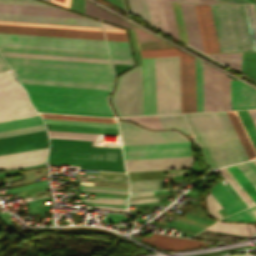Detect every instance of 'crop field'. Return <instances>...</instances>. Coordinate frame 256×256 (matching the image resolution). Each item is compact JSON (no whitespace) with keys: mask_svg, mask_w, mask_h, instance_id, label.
Instances as JSON below:
<instances>
[{"mask_svg":"<svg viewBox=\"0 0 256 256\" xmlns=\"http://www.w3.org/2000/svg\"><path fill=\"white\" fill-rule=\"evenodd\" d=\"M212 53L220 52L209 5H202Z\"/></svg>","mask_w":256,"mask_h":256,"instance_id":"crop-field-27","label":"crop field"},{"mask_svg":"<svg viewBox=\"0 0 256 256\" xmlns=\"http://www.w3.org/2000/svg\"><path fill=\"white\" fill-rule=\"evenodd\" d=\"M221 52L252 51L242 5H210Z\"/></svg>","mask_w":256,"mask_h":256,"instance_id":"crop-field-5","label":"crop field"},{"mask_svg":"<svg viewBox=\"0 0 256 256\" xmlns=\"http://www.w3.org/2000/svg\"><path fill=\"white\" fill-rule=\"evenodd\" d=\"M0 53L2 55H9V56H23V57H37V58H50V59H64V60L111 63L110 60H103V59H89V58H75V57H61V56H47V55H33V54H19V53H5V52H0Z\"/></svg>","mask_w":256,"mask_h":256,"instance_id":"crop-field-34","label":"crop field"},{"mask_svg":"<svg viewBox=\"0 0 256 256\" xmlns=\"http://www.w3.org/2000/svg\"><path fill=\"white\" fill-rule=\"evenodd\" d=\"M94 199H102V198H94ZM103 200H118V199H103ZM119 201H126V200H119Z\"/></svg>","mask_w":256,"mask_h":256,"instance_id":"crop-field-67","label":"crop field"},{"mask_svg":"<svg viewBox=\"0 0 256 256\" xmlns=\"http://www.w3.org/2000/svg\"><path fill=\"white\" fill-rule=\"evenodd\" d=\"M248 214L253 218L254 221H256V205L252 206L250 208L245 209Z\"/></svg>","mask_w":256,"mask_h":256,"instance_id":"crop-field-55","label":"crop field"},{"mask_svg":"<svg viewBox=\"0 0 256 256\" xmlns=\"http://www.w3.org/2000/svg\"><path fill=\"white\" fill-rule=\"evenodd\" d=\"M162 2V6H163V10H164V15H165V19H166V24H167V28H168V32L170 35L174 36L175 38H178V34H177V30H176V25H175V21H174V17H173V12H172V8H171V4L168 1H163Z\"/></svg>","mask_w":256,"mask_h":256,"instance_id":"crop-field-35","label":"crop field"},{"mask_svg":"<svg viewBox=\"0 0 256 256\" xmlns=\"http://www.w3.org/2000/svg\"><path fill=\"white\" fill-rule=\"evenodd\" d=\"M82 201L126 205V202H118V201H101V200H88V199H82Z\"/></svg>","mask_w":256,"mask_h":256,"instance_id":"crop-field-53","label":"crop field"},{"mask_svg":"<svg viewBox=\"0 0 256 256\" xmlns=\"http://www.w3.org/2000/svg\"><path fill=\"white\" fill-rule=\"evenodd\" d=\"M0 46L108 54L104 41L0 33Z\"/></svg>","mask_w":256,"mask_h":256,"instance_id":"crop-field-6","label":"crop field"},{"mask_svg":"<svg viewBox=\"0 0 256 256\" xmlns=\"http://www.w3.org/2000/svg\"><path fill=\"white\" fill-rule=\"evenodd\" d=\"M204 111L230 109L229 77L203 62Z\"/></svg>","mask_w":256,"mask_h":256,"instance_id":"crop-field-9","label":"crop field"},{"mask_svg":"<svg viewBox=\"0 0 256 256\" xmlns=\"http://www.w3.org/2000/svg\"><path fill=\"white\" fill-rule=\"evenodd\" d=\"M48 146L45 130L0 138V154Z\"/></svg>","mask_w":256,"mask_h":256,"instance_id":"crop-field-14","label":"crop field"},{"mask_svg":"<svg viewBox=\"0 0 256 256\" xmlns=\"http://www.w3.org/2000/svg\"><path fill=\"white\" fill-rule=\"evenodd\" d=\"M47 152L48 147L0 155V168L8 170L12 168L42 164L45 161Z\"/></svg>","mask_w":256,"mask_h":256,"instance_id":"crop-field-15","label":"crop field"},{"mask_svg":"<svg viewBox=\"0 0 256 256\" xmlns=\"http://www.w3.org/2000/svg\"><path fill=\"white\" fill-rule=\"evenodd\" d=\"M42 123H43L42 119L39 116L17 119V120H11V121H5V122H0V131L1 130L18 128V127L42 124Z\"/></svg>","mask_w":256,"mask_h":256,"instance_id":"crop-field-31","label":"crop field"},{"mask_svg":"<svg viewBox=\"0 0 256 256\" xmlns=\"http://www.w3.org/2000/svg\"><path fill=\"white\" fill-rule=\"evenodd\" d=\"M205 53H211L201 5H195Z\"/></svg>","mask_w":256,"mask_h":256,"instance_id":"crop-field-40","label":"crop field"},{"mask_svg":"<svg viewBox=\"0 0 256 256\" xmlns=\"http://www.w3.org/2000/svg\"><path fill=\"white\" fill-rule=\"evenodd\" d=\"M231 108H256V90L230 79Z\"/></svg>","mask_w":256,"mask_h":256,"instance_id":"crop-field-17","label":"crop field"},{"mask_svg":"<svg viewBox=\"0 0 256 256\" xmlns=\"http://www.w3.org/2000/svg\"><path fill=\"white\" fill-rule=\"evenodd\" d=\"M48 133H49V136H66V137L99 139L98 134L69 133V132H55V131H48Z\"/></svg>","mask_w":256,"mask_h":256,"instance_id":"crop-field-47","label":"crop field"},{"mask_svg":"<svg viewBox=\"0 0 256 256\" xmlns=\"http://www.w3.org/2000/svg\"><path fill=\"white\" fill-rule=\"evenodd\" d=\"M200 3H214V0H200Z\"/></svg>","mask_w":256,"mask_h":256,"instance_id":"crop-field-66","label":"crop field"},{"mask_svg":"<svg viewBox=\"0 0 256 256\" xmlns=\"http://www.w3.org/2000/svg\"><path fill=\"white\" fill-rule=\"evenodd\" d=\"M184 115L210 168L249 159L225 111Z\"/></svg>","mask_w":256,"mask_h":256,"instance_id":"crop-field-1","label":"crop field"},{"mask_svg":"<svg viewBox=\"0 0 256 256\" xmlns=\"http://www.w3.org/2000/svg\"><path fill=\"white\" fill-rule=\"evenodd\" d=\"M161 181L162 180L129 182L130 192L159 189Z\"/></svg>","mask_w":256,"mask_h":256,"instance_id":"crop-field-39","label":"crop field"},{"mask_svg":"<svg viewBox=\"0 0 256 256\" xmlns=\"http://www.w3.org/2000/svg\"><path fill=\"white\" fill-rule=\"evenodd\" d=\"M253 51H256V16L253 5H243Z\"/></svg>","mask_w":256,"mask_h":256,"instance_id":"crop-field-28","label":"crop field"},{"mask_svg":"<svg viewBox=\"0 0 256 256\" xmlns=\"http://www.w3.org/2000/svg\"><path fill=\"white\" fill-rule=\"evenodd\" d=\"M134 30H135V34H136V38H137V42L138 43H145V42H159L162 41L148 33H146L145 31L141 30L140 28L134 26Z\"/></svg>","mask_w":256,"mask_h":256,"instance_id":"crop-field-46","label":"crop field"},{"mask_svg":"<svg viewBox=\"0 0 256 256\" xmlns=\"http://www.w3.org/2000/svg\"><path fill=\"white\" fill-rule=\"evenodd\" d=\"M233 220H238V221H253L251 217L246 213L245 210L238 212L236 214L231 215Z\"/></svg>","mask_w":256,"mask_h":256,"instance_id":"crop-field-52","label":"crop field"},{"mask_svg":"<svg viewBox=\"0 0 256 256\" xmlns=\"http://www.w3.org/2000/svg\"><path fill=\"white\" fill-rule=\"evenodd\" d=\"M110 54L132 55L128 42L107 41Z\"/></svg>","mask_w":256,"mask_h":256,"instance_id":"crop-field-44","label":"crop field"},{"mask_svg":"<svg viewBox=\"0 0 256 256\" xmlns=\"http://www.w3.org/2000/svg\"><path fill=\"white\" fill-rule=\"evenodd\" d=\"M0 24H12V25H26V26H40V27H54V28H68V29H82V30L102 31L101 28H94V27L52 25V24H37V23H23V22H9V21H0Z\"/></svg>","mask_w":256,"mask_h":256,"instance_id":"crop-field-41","label":"crop field"},{"mask_svg":"<svg viewBox=\"0 0 256 256\" xmlns=\"http://www.w3.org/2000/svg\"><path fill=\"white\" fill-rule=\"evenodd\" d=\"M50 1V0H49Z\"/></svg>","mask_w":256,"mask_h":256,"instance_id":"crop-field-72","label":"crop field"},{"mask_svg":"<svg viewBox=\"0 0 256 256\" xmlns=\"http://www.w3.org/2000/svg\"><path fill=\"white\" fill-rule=\"evenodd\" d=\"M43 129H45L44 124L30 126V127H24V128H18V129H13V130H7V131H1L0 137L14 135V134H20V133H26V132H31V131H37V130H43Z\"/></svg>","mask_w":256,"mask_h":256,"instance_id":"crop-field-45","label":"crop field"},{"mask_svg":"<svg viewBox=\"0 0 256 256\" xmlns=\"http://www.w3.org/2000/svg\"><path fill=\"white\" fill-rule=\"evenodd\" d=\"M180 2H187V3H199V0H177Z\"/></svg>","mask_w":256,"mask_h":256,"instance_id":"crop-field-64","label":"crop field"},{"mask_svg":"<svg viewBox=\"0 0 256 256\" xmlns=\"http://www.w3.org/2000/svg\"><path fill=\"white\" fill-rule=\"evenodd\" d=\"M143 58L188 54L178 48L140 51Z\"/></svg>","mask_w":256,"mask_h":256,"instance_id":"crop-field-37","label":"crop field"},{"mask_svg":"<svg viewBox=\"0 0 256 256\" xmlns=\"http://www.w3.org/2000/svg\"><path fill=\"white\" fill-rule=\"evenodd\" d=\"M5 70H8V68L0 58V71H5Z\"/></svg>","mask_w":256,"mask_h":256,"instance_id":"crop-field-63","label":"crop field"},{"mask_svg":"<svg viewBox=\"0 0 256 256\" xmlns=\"http://www.w3.org/2000/svg\"><path fill=\"white\" fill-rule=\"evenodd\" d=\"M104 31L126 33L125 30L103 28Z\"/></svg>","mask_w":256,"mask_h":256,"instance_id":"crop-field-61","label":"crop field"},{"mask_svg":"<svg viewBox=\"0 0 256 256\" xmlns=\"http://www.w3.org/2000/svg\"><path fill=\"white\" fill-rule=\"evenodd\" d=\"M112 59L133 61L132 56L110 55Z\"/></svg>","mask_w":256,"mask_h":256,"instance_id":"crop-field-56","label":"crop field"},{"mask_svg":"<svg viewBox=\"0 0 256 256\" xmlns=\"http://www.w3.org/2000/svg\"><path fill=\"white\" fill-rule=\"evenodd\" d=\"M174 1H176V0H174Z\"/></svg>","mask_w":256,"mask_h":256,"instance_id":"crop-field-71","label":"crop field"},{"mask_svg":"<svg viewBox=\"0 0 256 256\" xmlns=\"http://www.w3.org/2000/svg\"><path fill=\"white\" fill-rule=\"evenodd\" d=\"M254 123H255V126H256V109L255 110H248Z\"/></svg>","mask_w":256,"mask_h":256,"instance_id":"crop-field-60","label":"crop field"},{"mask_svg":"<svg viewBox=\"0 0 256 256\" xmlns=\"http://www.w3.org/2000/svg\"><path fill=\"white\" fill-rule=\"evenodd\" d=\"M158 118H159L163 128L176 127L179 130H181L187 134L191 133L182 114L158 116Z\"/></svg>","mask_w":256,"mask_h":256,"instance_id":"crop-field-26","label":"crop field"},{"mask_svg":"<svg viewBox=\"0 0 256 256\" xmlns=\"http://www.w3.org/2000/svg\"><path fill=\"white\" fill-rule=\"evenodd\" d=\"M191 143H164L122 146L124 158H154L191 155Z\"/></svg>","mask_w":256,"mask_h":256,"instance_id":"crop-field-11","label":"crop field"},{"mask_svg":"<svg viewBox=\"0 0 256 256\" xmlns=\"http://www.w3.org/2000/svg\"><path fill=\"white\" fill-rule=\"evenodd\" d=\"M48 164L81 165V169L125 172L121 149L50 143Z\"/></svg>","mask_w":256,"mask_h":256,"instance_id":"crop-field-4","label":"crop field"},{"mask_svg":"<svg viewBox=\"0 0 256 256\" xmlns=\"http://www.w3.org/2000/svg\"><path fill=\"white\" fill-rule=\"evenodd\" d=\"M255 7V11H256V6H254Z\"/></svg>","mask_w":256,"mask_h":256,"instance_id":"crop-field-69","label":"crop field"},{"mask_svg":"<svg viewBox=\"0 0 256 256\" xmlns=\"http://www.w3.org/2000/svg\"><path fill=\"white\" fill-rule=\"evenodd\" d=\"M231 256H251V255H231Z\"/></svg>","mask_w":256,"mask_h":256,"instance_id":"crop-field-68","label":"crop field"},{"mask_svg":"<svg viewBox=\"0 0 256 256\" xmlns=\"http://www.w3.org/2000/svg\"><path fill=\"white\" fill-rule=\"evenodd\" d=\"M249 158L250 159H255L256 158V151L236 113V111H226Z\"/></svg>","mask_w":256,"mask_h":256,"instance_id":"crop-field-21","label":"crop field"},{"mask_svg":"<svg viewBox=\"0 0 256 256\" xmlns=\"http://www.w3.org/2000/svg\"><path fill=\"white\" fill-rule=\"evenodd\" d=\"M197 112L203 111L202 61L195 58Z\"/></svg>","mask_w":256,"mask_h":256,"instance_id":"crop-field-32","label":"crop field"},{"mask_svg":"<svg viewBox=\"0 0 256 256\" xmlns=\"http://www.w3.org/2000/svg\"><path fill=\"white\" fill-rule=\"evenodd\" d=\"M113 63L134 65L133 62L112 60Z\"/></svg>","mask_w":256,"mask_h":256,"instance_id":"crop-field-62","label":"crop field"},{"mask_svg":"<svg viewBox=\"0 0 256 256\" xmlns=\"http://www.w3.org/2000/svg\"><path fill=\"white\" fill-rule=\"evenodd\" d=\"M157 114L181 113L179 56L155 58Z\"/></svg>","mask_w":256,"mask_h":256,"instance_id":"crop-field-7","label":"crop field"},{"mask_svg":"<svg viewBox=\"0 0 256 256\" xmlns=\"http://www.w3.org/2000/svg\"><path fill=\"white\" fill-rule=\"evenodd\" d=\"M237 166L239 167V169L244 173V175L249 179V181L256 188V174L248 166V164L247 163H242V164H238Z\"/></svg>","mask_w":256,"mask_h":256,"instance_id":"crop-field-48","label":"crop field"},{"mask_svg":"<svg viewBox=\"0 0 256 256\" xmlns=\"http://www.w3.org/2000/svg\"><path fill=\"white\" fill-rule=\"evenodd\" d=\"M223 64L241 72L242 53L208 55Z\"/></svg>","mask_w":256,"mask_h":256,"instance_id":"crop-field-29","label":"crop field"},{"mask_svg":"<svg viewBox=\"0 0 256 256\" xmlns=\"http://www.w3.org/2000/svg\"><path fill=\"white\" fill-rule=\"evenodd\" d=\"M22 85L36 111L114 117L106 101L110 90Z\"/></svg>","mask_w":256,"mask_h":256,"instance_id":"crop-field-2","label":"crop field"},{"mask_svg":"<svg viewBox=\"0 0 256 256\" xmlns=\"http://www.w3.org/2000/svg\"><path fill=\"white\" fill-rule=\"evenodd\" d=\"M248 164L254 170V172L256 173V165H255V163L254 162H250Z\"/></svg>","mask_w":256,"mask_h":256,"instance_id":"crop-field-65","label":"crop field"},{"mask_svg":"<svg viewBox=\"0 0 256 256\" xmlns=\"http://www.w3.org/2000/svg\"><path fill=\"white\" fill-rule=\"evenodd\" d=\"M152 201H158V198L143 199V200H133V201H129L128 204H132V203H142V202H152Z\"/></svg>","mask_w":256,"mask_h":256,"instance_id":"crop-field-58","label":"crop field"},{"mask_svg":"<svg viewBox=\"0 0 256 256\" xmlns=\"http://www.w3.org/2000/svg\"><path fill=\"white\" fill-rule=\"evenodd\" d=\"M255 148H256V129L246 110L237 111Z\"/></svg>","mask_w":256,"mask_h":256,"instance_id":"crop-field-43","label":"crop field"},{"mask_svg":"<svg viewBox=\"0 0 256 256\" xmlns=\"http://www.w3.org/2000/svg\"><path fill=\"white\" fill-rule=\"evenodd\" d=\"M211 194L219 202L221 206H224V209L228 214H232L240 209L241 205L236 201L228 189L223 185L222 182H219L211 186Z\"/></svg>","mask_w":256,"mask_h":256,"instance_id":"crop-field-20","label":"crop field"},{"mask_svg":"<svg viewBox=\"0 0 256 256\" xmlns=\"http://www.w3.org/2000/svg\"><path fill=\"white\" fill-rule=\"evenodd\" d=\"M0 50L110 58L109 55H101V54L44 51V50H30V49H16V48H2V47H0Z\"/></svg>","mask_w":256,"mask_h":256,"instance_id":"crop-field-36","label":"crop field"},{"mask_svg":"<svg viewBox=\"0 0 256 256\" xmlns=\"http://www.w3.org/2000/svg\"><path fill=\"white\" fill-rule=\"evenodd\" d=\"M129 5L132 12L143 17L151 24L146 0H129Z\"/></svg>","mask_w":256,"mask_h":256,"instance_id":"crop-field-38","label":"crop field"},{"mask_svg":"<svg viewBox=\"0 0 256 256\" xmlns=\"http://www.w3.org/2000/svg\"><path fill=\"white\" fill-rule=\"evenodd\" d=\"M79 190L109 192V193H121V194H127L128 193V191L126 189H112V188H99V187H86V186H80Z\"/></svg>","mask_w":256,"mask_h":256,"instance_id":"crop-field-49","label":"crop field"},{"mask_svg":"<svg viewBox=\"0 0 256 256\" xmlns=\"http://www.w3.org/2000/svg\"><path fill=\"white\" fill-rule=\"evenodd\" d=\"M148 7L153 26L168 33L160 0H148ZM158 22H160V24H158Z\"/></svg>","mask_w":256,"mask_h":256,"instance_id":"crop-field-24","label":"crop field"},{"mask_svg":"<svg viewBox=\"0 0 256 256\" xmlns=\"http://www.w3.org/2000/svg\"><path fill=\"white\" fill-rule=\"evenodd\" d=\"M48 130L119 135L117 129L46 124Z\"/></svg>","mask_w":256,"mask_h":256,"instance_id":"crop-field-23","label":"crop field"},{"mask_svg":"<svg viewBox=\"0 0 256 256\" xmlns=\"http://www.w3.org/2000/svg\"><path fill=\"white\" fill-rule=\"evenodd\" d=\"M107 40L128 41L126 34L104 32Z\"/></svg>","mask_w":256,"mask_h":256,"instance_id":"crop-field-51","label":"crop field"},{"mask_svg":"<svg viewBox=\"0 0 256 256\" xmlns=\"http://www.w3.org/2000/svg\"><path fill=\"white\" fill-rule=\"evenodd\" d=\"M118 123L122 145L188 141L177 131L150 132L129 122Z\"/></svg>","mask_w":256,"mask_h":256,"instance_id":"crop-field-10","label":"crop field"},{"mask_svg":"<svg viewBox=\"0 0 256 256\" xmlns=\"http://www.w3.org/2000/svg\"><path fill=\"white\" fill-rule=\"evenodd\" d=\"M153 192L130 194L129 197L153 195Z\"/></svg>","mask_w":256,"mask_h":256,"instance_id":"crop-field-59","label":"crop field"},{"mask_svg":"<svg viewBox=\"0 0 256 256\" xmlns=\"http://www.w3.org/2000/svg\"><path fill=\"white\" fill-rule=\"evenodd\" d=\"M242 74L256 80V53H243Z\"/></svg>","mask_w":256,"mask_h":256,"instance_id":"crop-field-33","label":"crop field"},{"mask_svg":"<svg viewBox=\"0 0 256 256\" xmlns=\"http://www.w3.org/2000/svg\"><path fill=\"white\" fill-rule=\"evenodd\" d=\"M215 3H250L246 0H215Z\"/></svg>","mask_w":256,"mask_h":256,"instance_id":"crop-field-54","label":"crop field"},{"mask_svg":"<svg viewBox=\"0 0 256 256\" xmlns=\"http://www.w3.org/2000/svg\"><path fill=\"white\" fill-rule=\"evenodd\" d=\"M45 123L117 128L116 124L43 119Z\"/></svg>","mask_w":256,"mask_h":256,"instance_id":"crop-field-42","label":"crop field"},{"mask_svg":"<svg viewBox=\"0 0 256 256\" xmlns=\"http://www.w3.org/2000/svg\"><path fill=\"white\" fill-rule=\"evenodd\" d=\"M182 113L196 112L194 57L180 56Z\"/></svg>","mask_w":256,"mask_h":256,"instance_id":"crop-field-12","label":"crop field"},{"mask_svg":"<svg viewBox=\"0 0 256 256\" xmlns=\"http://www.w3.org/2000/svg\"><path fill=\"white\" fill-rule=\"evenodd\" d=\"M20 83L28 84H43V85H58V86H73V87H88V88H103L110 89L112 85L106 84H92V83H78V82H64L51 80H37V79H23L17 78Z\"/></svg>","mask_w":256,"mask_h":256,"instance_id":"crop-field-22","label":"crop field"},{"mask_svg":"<svg viewBox=\"0 0 256 256\" xmlns=\"http://www.w3.org/2000/svg\"><path fill=\"white\" fill-rule=\"evenodd\" d=\"M0 3H12V4H28V5H43L50 6L45 3L36 0H0Z\"/></svg>","mask_w":256,"mask_h":256,"instance_id":"crop-field-50","label":"crop field"},{"mask_svg":"<svg viewBox=\"0 0 256 256\" xmlns=\"http://www.w3.org/2000/svg\"><path fill=\"white\" fill-rule=\"evenodd\" d=\"M180 5H181V10L183 14V19H184V24L186 28L189 45L203 51L195 7L194 5H188V4H182V3H180Z\"/></svg>","mask_w":256,"mask_h":256,"instance_id":"crop-field-18","label":"crop field"},{"mask_svg":"<svg viewBox=\"0 0 256 256\" xmlns=\"http://www.w3.org/2000/svg\"><path fill=\"white\" fill-rule=\"evenodd\" d=\"M142 240L150 244H153L165 249H170V250L206 245L204 242L186 240V239L165 236V235H160L155 233H153L151 237H143Z\"/></svg>","mask_w":256,"mask_h":256,"instance_id":"crop-field-19","label":"crop field"},{"mask_svg":"<svg viewBox=\"0 0 256 256\" xmlns=\"http://www.w3.org/2000/svg\"><path fill=\"white\" fill-rule=\"evenodd\" d=\"M255 163H256V161H255Z\"/></svg>","mask_w":256,"mask_h":256,"instance_id":"crop-field-70","label":"crop field"},{"mask_svg":"<svg viewBox=\"0 0 256 256\" xmlns=\"http://www.w3.org/2000/svg\"><path fill=\"white\" fill-rule=\"evenodd\" d=\"M16 77L112 84L111 65L4 57Z\"/></svg>","mask_w":256,"mask_h":256,"instance_id":"crop-field-3","label":"crop field"},{"mask_svg":"<svg viewBox=\"0 0 256 256\" xmlns=\"http://www.w3.org/2000/svg\"><path fill=\"white\" fill-rule=\"evenodd\" d=\"M144 114H156L154 58L143 59Z\"/></svg>","mask_w":256,"mask_h":256,"instance_id":"crop-field-16","label":"crop field"},{"mask_svg":"<svg viewBox=\"0 0 256 256\" xmlns=\"http://www.w3.org/2000/svg\"><path fill=\"white\" fill-rule=\"evenodd\" d=\"M35 115L25 90L9 71L0 72V121Z\"/></svg>","mask_w":256,"mask_h":256,"instance_id":"crop-field-8","label":"crop field"},{"mask_svg":"<svg viewBox=\"0 0 256 256\" xmlns=\"http://www.w3.org/2000/svg\"><path fill=\"white\" fill-rule=\"evenodd\" d=\"M227 169L256 203V189L242 174V172L237 168V166L233 165V166L227 167Z\"/></svg>","mask_w":256,"mask_h":256,"instance_id":"crop-field-30","label":"crop field"},{"mask_svg":"<svg viewBox=\"0 0 256 256\" xmlns=\"http://www.w3.org/2000/svg\"><path fill=\"white\" fill-rule=\"evenodd\" d=\"M0 32L104 40L102 32L0 25Z\"/></svg>","mask_w":256,"mask_h":256,"instance_id":"crop-field-13","label":"crop field"},{"mask_svg":"<svg viewBox=\"0 0 256 256\" xmlns=\"http://www.w3.org/2000/svg\"><path fill=\"white\" fill-rule=\"evenodd\" d=\"M39 114L42 116V118H50V119H65V120H80V121H95V122L117 123L116 119H114V118H106V117L50 114V113H39Z\"/></svg>","mask_w":256,"mask_h":256,"instance_id":"crop-field-25","label":"crop field"},{"mask_svg":"<svg viewBox=\"0 0 256 256\" xmlns=\"http://www.w3.org/2000/svg\"><path fill=\"white\" fill-rule=\"evenodd\" d=\"M52 2H55L57 4H60V5H63L65 7H68L70 6V0H51Z\"/></svg>","mask_w":256,"mask_h":256,"instance_id":"crop-field-57","label":"crop field"}]
</instances>
